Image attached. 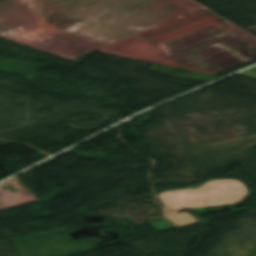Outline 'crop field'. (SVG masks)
<instances>
[{
	"mask_svg": "<svg viewBox=\"0 0 256 256\" xmlns=\"http://www.w3.org/2000/svg\"><path fill=\"white\" fill-rule=\"evenodd\" d=\"M237 75H241V76H245V77H249V78H253L256 79V66L253 68H250L244 72H241Z\"/></svg>",
	"mask_w": 256,
	"mask_h": 256,
	"instance_id": "obj_2",
	"label": "crop field"
},
{
	"mask_svg": "<svg viewBox=\"0 0 256 256\" xmlns=\"http://www.w3.org/2000/svg\"><path fill=\"white\" fill-rule=\"evenodd\" d=\"M58 0H5L0 2V22L17 17Z\"/></svg>",
	"mask_w": 256,
	"mask_h": 256,
	"instance_id": "obj_1",
	"label": "crop field"
}]
</instances>
